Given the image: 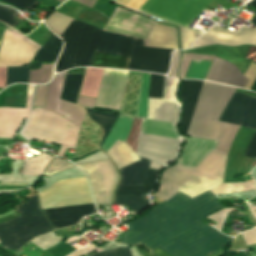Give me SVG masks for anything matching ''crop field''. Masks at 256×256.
I'll use <instances>...</instances> for the list:
<instances>
[{
  "label": "crop field",
  "instance_id": "27",
  "mask_svg": "<svg viewBox=\"0 0 256 256\" xmlns=\"http://www.w3.org/2000/svg\"><path fill=\"white\" fill-rule=\"evenodd\" d=\"M144 46L177 49L176 29L154 25Z\"/></svg>",
  "mask_w": 256,
  "mask_h": 256
},
{
  "label": "crop field",
  "instance_id": "25",
  "mask_svg": "<svg viewBox=\"0 0 256 256\" xmlns=\"http://www.w3.org/2000/svg\"><path fill=\"white\" fill-rule=\"evenodd\" d=\"M205 80L228 84L240 88H243L248 81L231 65L216 58L214 59Z\"/></svg>",
  "mask_w": 256,
  "mask_h": 256
},
{
  "label": "crop field",
  "instance_id": "14",
  "mask_svg": "<svg viewBox=\"0 0 256 256\" xmlns=\"http://www.w3.org/2000/svg\"><path fill=\"white\" fill-rule=\"evenodd\" d=\"M128 72L104 69L95 106L119 110Z\"/></svg>",
  "mask_w": 256,
  "mask_h": 256
},
{
  "label": "crop field",
  "instance_id": "39",
  "mask_svg": "<svg viewBox=\"0 0 256 256\" xmlns=\"http://www.w3.org/2000/svg\"><path fill=\"white\" fill-rule=\"evenodd\" d=\"M150 74L143 73L136 117L146 119L147 93Z\"/></svg>",
  "mask_w": 256,
  "mask_h": 256
},
{
  "label": "crop field",
  "instance_id": "50",
  "mask_svg": "<svg viewBox=\"0 0 256 256\" xmlns=\"http://www.w3.org/2000/svg\"><path fill=\"white\" fill-rule=\"evenodd\" d=\"M92 256H131V254L128 248L121 247L110 249L108 251L98 253Z\"/></svg>",
  "mask_w": 256,
  "mask_h": 256
},
{
  "label": "crop field",
  "instance_id": "19",
  "mask_svg": "<svg viewBox=\"0 0 256 256\" xmlns=\"http://www.w3.org/2000/svg\"><path fill=\"white\" fill-rule=\"evenodd\" d=\"M158 171L149 169L143 187H118L113 204H127L136 214L149 206V200H143V194H148L156 185Z\"/></svg>",
  "mask_w": 256,
  "mask_h": 256
},
{
  "label": "crop field",
  "instance_id": "15",
  "mask_svg": "<svg viewBox=\"0 0 256 256\" xmlns=\"http://www.w3.org/2000/svg\"><path fill=\"white\" fill-rule=\"evenodd\" d=\"M66 72L56 75L54 80L48 85L44 108L80 127L85 115L84 108L59 100Z\"/></svg>",
  "mask_w": 256,
  "mask_h": 256
},
{
  "label": "crop field",
  "instance_id": "33",
  "mask_svg": "<svg viewBox=\"0 0 256 256\" xmlns=\"http://www.w3.org/2000/svg\"><path fill=\"white\" fill-rule=\"evenodd\" d=\"M103 69L87 68L82 84V96L96 98Z\"/></svg>",
  "mask_w": 256,
  "mask_h": 256
},
{
  "label": "crop field",
  "instance_id": "59",
  "mask_svg": "<svg viewBox=\"0 0 256 256\" xmlns=\"http://www.w3.org/2000/svg\"><path fill=\"white\" fill-rule=\"evenodd\" d=\"M142 256H170V255L166 254L165 252H163V251H161L160 249L157 248L151 254H146V255H142Z\"/></svg>",
  "mask_w": 256,
  "mask_h": 256
},
{
  "label": "crop field",
  "instance_id": "30",
  "mask_svg": "<svg viewBox=\"0 0 256 256\" xmlns=\"http://www.w3.org/2000/svg\"><path fill=\"white\" fill-rule=\"evenodd\" d=\"M140 133L180 140L177 132V127L173 124L143 119Z\"/></svg>",
  "mask_w": 256,
  "mask_h": 256
},
{
  "label": "crop field",
  "instance_id": "34",
  "mask_svg": "<svg viewBox=\"0 0 256 256\" xmlns=\"http://www.w3.org/2000/svg\"><path fill=\"white\" fill-rule=\"evenodd\" d=\"M62 48L61 40L52 34L50 39L40 49L34 61L53 62L56 61Z\"/></svg>",
  "mask_w": 256,
  "mask_h": 256
},
{
  "label": "crop field",
  "instance_id": "57",
  "mask_svg": "<svg viewBox=\"0 0 256 256\" xmlns=\"http://www.w3.org/2000/svg\"><path fill=\"white\" fill-rule=\"evenodd\" d=\"M95 100L94 98H88V97H79L78 104L88 106V107H94Z\"/></svg>",
  "mask_w": 256,
  "mask_h": 256
},
{
  "label": "crop field",
  "instance_id": "41",
  "mask_svg": "<svg viewBox=\"0 0 256 256\" xmlns=\"http://www.w3.org/2000/svg\"><path fill=\"white\" fill-rule=\"evenodd\" d=\"M29 67H7V83H27L28 80Z\"/></svg>",
  "mask_w": 256,
  "mask_h": 256
},
{
  "label": "crop field",
  "instance_id": "45",
  "mask_svg": "<svg viewBox=\"0 0 256 256\" xmlns=\"http://www.w3.org/2000/svg\"><path fill=\"white\" fill-rule=\"evenodd\" d=\"M19 14L15 10L0 6V21L6 23L11 27H15L19 21L15 20V16Z\"/></svg>",
  "mask_w": 256,
  "mask_h": 256
},
{
  "label": "crop field",
  "instance_id": "36",
  "mask_svg": "<svg viewBox=\"0 0 256 256\" xmlns=\"http://www.w3.org/2000/svg\"><path fill=\"white\" fill-rule=\"evenodd\" d=\"M83 75H67L64 83L61 100L71 103L77 102L78 92Z\"/></svg>",
  "mask_w": 256,
  "mask_h": 256
},
{
  "label": "crop field",
  "instance_id": "28",
  "mask_svg": "<svg viewBox=\"0 0 256 256\" xmlns=\"http://www.w3.org/2000/svg\"><path fill=\"white\" fill-rule=\"evenodd\" d=\"M140 161L124 167L119 171L122 186H142L150 161L140 157Z\"/></svg>",
  "mask_w": 256,
  "mask_h": 256
},
{
  "label": "crop field",
  "instance_id": "40",
  "mask_svg": "<svg viewBox=\"0 0 256 256\" xmlns=\"http://www.w3.org/2000/svg\"><path fill=\"white\" fill-rule=\"evenodd\" d=\"M53 66L52 65H42V67L37 70H30V77L28 83L33 84H43L48 83L53 76Z\"/></svg>",
  "mask_w": 256,
  "mask_h": 256
},
{
  "label": "crop field",
  "instance_id": "24",
  "mask_svg": "<svg viewBox=\"0 0 256 256\" xmlns=\"http://www.w3.org/2000/svg\"><path fill=\"white\" fill-rule=\"evenodd\" d=\"M102 136V131L94 122L85 116L80 127L79 138L76 145L75 159L98 150L97 145Z\"/></svg>",
  "mask_w": 256,
  "mask_h": 256
},
{
  "label": "crop field",
  "instance_id": "22",
  "mask_svg": "<svg viewBox=\"0 0 256 256\" xmlns=\"http://www.w3.org/2000/svg\"><path fill=\"white\" fill-rule=\"evenodd\" d=\"M187 140L178 164L195 169L198 164L208 155L217 141L181 137Z\"/></svg>",
  "mask_w": 256,
  "mask_h": 256
},
{
  "label": "crop field",
  "instance_id": "66",
  "mask_svg": "<svg viewBox=\"0 0 256 256\" xmlns=\"http://www.w3.org/2000/svg\"><path fill=\"white\" fill-rule=\"evenodd\" d=\"M252 22L256 23V17H254V18L252 19Z\"/></svg>",
  "mask_w": 256,
  "mask_h": 256
},
{
  "label": "crop field",
  "instance_id": "18",
  "mask_svg": "<svg viewBox=\"0 0 256 256\" xmlns=\"http://www.w3.org/2000/svg\"><path fill=\"white\" fill-rule=\"evenodd\" d=\"M171 78L165 77L163 98L168 99ZM177 80L172 79L169 100L148 98L147 119L177 123L178 104L174 100Z\"/></svg>",
  "mask_w": 256,
  "mask_h": 256
},
{
  "label": "crop field",
  "instance_id": "21",
  "mask_svg": "<svg viewBox=\"0 0 256 256\" xmlns=\"http://www.w3.org/2000/svg\"><path fill=\"white\" fill-rule=\"evenodd\" d=\"M33 85H28L26 109L0 108V137L12 138L23 118L27 117L32 101Z\"/></svg>",
  "mask_w": 256,
  "mask_h": 256
},
{
  "label": "crop field",
  "instance_id": "51",
  "mask_svg": "<svg viewBox=\"0 0 256 256\" xmlns=\"http://www.w3.org/2000/svg\"><path fill=\"white\" fill-rule=\"evenodd\" d=\"M22 10H30L35 4H37L38 2H36L35 0H4Z\"/></svg>",
  "mask_w": 256,
  "mask_h": 256
},
{
  "label": "crop field",
  "instance_id": "54",
  "mask_svg": "<svg viewBox=\"0 0 256 256\" xmlns=\"http://www.w3.org/2000/svg\"><path fill=\"white\" fill-rule=\"evenodd\" d=\"M244 155L256 159V134L253 135Z\"/></svg>",
  "mask_w": 256,
  "mask_h": 256
},
{
  "label": "crop field",
  "instance_id": "49",
  "mask_svg": "<svg viewBox=\"0 0 256 256\" xmlns=\"http://www.w3.org/2000/svg\"><path fill=\"white\" fill-rule=\"evenodd\" d=\"M46 87H47V85H43V86H37L36 85L33 106L43 108L45 93H46Z\"/></svg>",
  "mask_w": 256,
  "mask_h": 256
},
{
  "label": "crop field",
  "instance_id": "12",
  "mask_svg": "<svg viewBox=\"0 0 256 256\" xmlns=\"http://www.w3.org/2000/svg\"><path fill=\"white\" fill-rule=\"evenodd\" d=\"M218 120L255 131L256 98L234 92Z\"/></svg>",
  "mask_w": 256,
  "mask_h": 256
},
{
  "label": "crop field",
  "instance_id": "37",
  "mask_svg": "<svg viewBox=\"0 0 256 256\" xmlns=\"http://www.w3.org/2000/svg\"><path fill=\"white\" fill-rule=\"evenodd\" d=\"M53 158L46 154H39L36 157L27 158L23 174L41 176L44 168Z\"/></svg>",
  "mask_w": 256,
  "mask_h": 256
},
{
  "label": "crop field",
  "instance_id": "17",
  "mask_svg": "<svg viewBox=\"0 0 256 256\" xmlns=\"http://www.w3.org/2000/svg\"><path fill=\"white\" fill-rule=\"evenodd\" d=\"M216 44L224 46L256 45V29L242 27L238 33H232L215 25L204 33L192 48Z\"/></svg>",
  "mask_w": 256,
  "mask_h": 256
},
{
  "label": "crop field",
  "instance_id": "32",
  "mask_svg": "<svg viewBox=\"0 0 256 256\" xmlns=\"http://www.w3.org/2000/svg\"><path fill=\"white\" fill-rule=\"evenodd\" d=\"M124 37L123 35L103 31L95 51L119 55Z\"/></svg>",
  "mask_w": 256,
  "mask_h": 256
},
{
  "label": "crop field",
  "instance_id": "29",
  "mask_svg": "<svg viewBox=\"0 0 256 256\" xmlns=\"http://www.w3.org/2000/svg\"><path fill=\"white\" fill-rule=\"evenodd\" d=\"M132 120L133 118L119 115L101 148L107 152L116 139L125 142L131 128Z\"/></svg>",
  "mask_w": 256,
  "mask_h": 256
},
{
  "label": "crop field",
  "instance_id": "62",
  "mask_svg": "<svg viewBox=\"0 0 256 256\" xmlns=\"http://www.w3.org/2000/svg\"><path fill=\"white\" fill-rule=\"evenodd\" d=\"M149 168H153V169H157V170H159V169H161V168H162V166L157 165V164H155V163L151 162V164H150Z\"/></svg>",
  "mask_w": 256,
  "mask_h": 256
},
{
  "label": "crop field",
  "instance_id": "8",
  "mask_svg": "<svg viewBox=\"0 0 256 256\" xmlns=\"http://www.w3.org/2000/svg\"><path fill=\"white\" fill-rule=\"evenodd\" d=\"M213 0H147L139 11L177 26L189 27Z\"/></svg>",
  "mask_w": 256,
  "mask_h": 256
},
{
  "label": "crop field",
  "instance_id": "53",
  "mask_svg": "<svg viewBox=\"0 0 256 256\" xmlns=\"http://www.w3.org/2000/svg\"><path fill=\"white\" fill-rule=\"evenodd\" d=\"M180 58V52L179 51H174L173 56H172V62H171V68L169 72V76L178 78L176 75L177 67H178V62Z\"/></svg>",
  "mask_w": 256,
  "mask_h": 256
},
{
  "label": "crop field",
  "instance_id": "46",
  "mask_svg": "<svg viewBox=\"0 0 256 256\" xmlns=\"http://www.w3.org/2000/svg\"><path fill=\"white\" fill-rule=\"evenodd\" d=\"M72 167L70 164H68L67 162L59 159V158H55L52 160L51 164L47 167L44 175L46 176H50L53 175L57 172H60L62 170H65L67 168Z\"/></svg>",
  "mask_w": 256,
  "mask_h": 256
},
{
  "label": "crop field",
  "instance_id": "47",
  "mask_svg": "<svg viewBox=\"0 0 256 256\" xmlns=\"http://www.w3.org/2000/svg\"><path fill=\"white\" fill-rule=\"evenodd\" d=\"M182 49H188V47L194 42V40L201 35V33L191 30H180Z\"/></svg>",
  "mask_w": 256,
  "mask_h": 256
},
{
  "label": "crop field",
  "instance_id": "7",
  "mask_svg": "<svg viewBox=\"0 0 256 256\" xmlns=\"http://www.w3.org/2000/svg\"><path fill=\"white\" fill-rule=\"evenodd\" d=\"M180 147V141L139 135L137 154L124 142L116 140L107 152L118 168L139 160L138 156L152 160L162 166L170 163L175 158Z\"/></svg>",
  "mask_w": 256,
  "mask_h": 256
},
{
  "label": "crop field",
  "instance_id": "68",
  "mask_svg": "<svg viewBox=\"0 0 256 256\" xmlns=\"http://www.w3.org/2000/svg\"><path fill=\"white\" fill-rule=\"evenodd\" d=\"M114 1H116V0H114Z\"/></svg>",
  "mask_w": 256,
  "mask_h": 256
},
{
  "label": "crop field",
  "instance_id": "13",
  "mask_svg": "<svg viewBox=\"0 0 256 256\" xmlns=\"http://www.w3.org/2000/svg\"><path fill=\"white\" fill-rule=\"evenodd\" d=\"M154 23L155 20L117 6L105 30L146 39Z\"/></svg>",
  "mask_w": 256,
  "mask_h": 256
},
{
  "label": "crop field",
  "instance_id": "52",
  "mask_svg": "<svg viewBox=\"0 0 256 256\" xmlns=\"http://www.w3.org/2000/svg\"><path fill=\"white\" fill-rule=\"evenodd\" d=\"M232 209H233V208L223 209V210H221V211H219V212H217V213H215V214L209 216L208 218H210V219H212V220L218 222V223H217V226H216L215 228H217L218 230H221V228H222V223H223L225 217L227 216V214H228L230 211H232ZM223 224H224V223H223Z\"/></svg>",
  "mask_w": 256,
  "mask_h": 256
},
{
  "label": "crop field",
  "instance_id": "44",
  "mask_svg": "<svg viewBox=\"0 0 256 256\" xmlns=\"http://www.w3.org/2000/svg\"><path fill=\"white\" fill-rule=\"evenodd\" d=\"M30 242H32L44 251L54 247L56 244L59 243L53 232L34 238Z\"/></svg>",
  "mask_w": 256,
  "mask_h": 256
},
{
  "label": "crop field",
  "instance_id": "5",
  "mask_svg": "<svg viewBox=\"0 0 256 256\" xmlns=\"http://www.w3.org/2000/svg\"><path fill=\"white\" fill-rule=\"evenodd\" d=\"M100 33L101 30L73 19L60 36L65 46L57 61L56 72L77 66H91Z\"/></svg>",
  "mask_w": 256,
  "mask_h": 256
},
{
  "label": "crop field",
  "instance_id": "26",
  "mask_svg": "<svg viewBox=\"0 0 256 256\" xmlns=\"http://www.w3.org/2000/svg\"><path fill=\"white\" fill-rule=\"evenodd\" d=\"M141 75L140 72H129L119 114L135 117Z\"/></svg>",
  "mask_w": 256,
  "mask_h": 256
},
{
  "label": "crop field",
  "instance_id": "60",
  "mask_svg": "<svg viewBox=\"0 0 256 256\" xmlns=\"http://www.w3.org/2000/svg\"><path fill=\"white\" fill-rule=\"evenodd\" d=\"M86 6L93 8L97 0H74Z\"/></svg>",
  "mask_w": 256,
  "mask_h": 256
},
{
  "label": "crop field",
  "instance_id": "23",
  "mask_svg": "<svg viewBox=\"0 0 256 256\" xmlns=\"http://www.w3.org/2000/svg\"><path fill=\"white\" fill-rule=\"evenodd\" d=\"M202 82L203 81L182 80L179 98L184 103V109L180 118V129L185 135L188 131Z\"/></svg>",
  "mask_w": 256,
  "mask_h": 256
},
{
  "label": "crop field",
  "instance_id": "65",
  "mask_svg": "<svg viewBox=\"0 0 256 256\" xmlns=\"http://www.w3.org/2000/svg\"><path fill=\"white\" fill-rule=\"evenodd\" d=\"M12 212H15V211H12ZM12 212H9V213H6V214H3V215H0V217L5 216V215H7V214H10V213H12Z\"/></svg>",
  "mask_w": 256,
  "mask_h": 256
},
{
  "label": "crop field",
  "instance_id": "3",
  "mask_svg": "<svg viewBox=\"0 0 256 256\" xmlns=\"http://www.w3.org/2000/svg\"><path fill=\"white\" fill-rule=\"evenodd\" d=\"M234 91L235 88L204 81L187 135L219 140L215 150L227 154L239 126L216 120Z\"/></svg>",
  "mask_w": 256,
  "mask_h": 256
},
{
  "label": "crop field",
  "instance_id": "9",
  "mask_svg": "<svg viewBox=\"0 0 256 256\" xmlns=\"http://www.w3.org/2000/svg\"><path fill=\"white\" fill-rule=\"evenodd\" d=\"M77 166L88 174L96 204L110 205L113 200V190L119 179L114 164L106 159L77 164Z\"/></svg>",
  "mask_w": 256,
  "mask_h": 256
},
{
  "label": "crop field",
  "instance_id": "10",
  "mask_svg": "<svg viewBox=\"0 0 256 256\" xmlns=\"http://www.w3.org/2000/svg\"><path fill=\"white\" fill-rule=\"evenodd\" d=\"M41 47L6 27L0 46V66H19L29 64Z\"/></svg>",
  "mask_w": 256,
  "mask_h": 256
},
{
  "label": "crop field",
  "instance_id": "63",
  "mask_svg": "<svg viewBox=\"0 0 256 256\" xmlns=\"http://www.w3.org/2000/svg\"><path fill=\"white\" fill-rule=\"evenodd\" d=\"M252 204H253V205H256V203H252ZM252 204L249 203V206H250L251 210L253 211V213H254V215H255V217H256V213H255V211H254V210H256V206H252Z\"/></svg>",
  "mask_w": 256,
  "mask_h": 256
},
{
  "label": "crop field",
  "instance_id": "67",
  "mask_svg": "<svg viewBox=\"0 0 256 256\" xmlns=\"http://www.w3.org/2000/svg\"><path fill=\"white\" fill-rule=\"evenodd\" d=\"M58 1L62 3V2L65 1V0H58Z\"/></svg>",
  "mask_w": 256,
  "mask_h": 256
},
{
  "label": "crop field",
  "instance_id": "42",
  "mask_svg": "<svg viewBox=\"0 0 256 256\" xmlns=\"http://www.w3.org/2000/svg\"><path fill=\"white\" fill-rule=\"evenodd\" d=\"M71 20L72 18H69L67 16H64L55 12L50 17H48L45 20V22L48 24V26L51 28L53 32H55L60 36L61 33L64 31V29L71 22Z\"/></svg>",
  "mask_w": 256,
  "mask_h": 256
},
{
  "label": "crop field",
  "instance_id": "6",
  "mask_svg": "<svg viewBox=\"0 0 256 256\" xmlns=\"http://www.w3.org/2000/svg\"><path fill=\"white\" fill-rule=\"evenodd\" d=\"M78 131L79 128L64 118L34 107L22 134L28 140L38 139L62 144L57 154L62 157L66 148L75 149Z\"/></svg>",
  "mask_w": 256,
  "mask_h": 256
},
{
  "label": "crop field",
  "instance_id": "1",
  "mask_svg": "<svg viewBox=\"0 0 256 256\" xmlns=\"http://www.w3.org/2000/svg\"><path fill=\"white\" fill-rule=\"evenodd\" d=\"M221 208L210 191L193 200L178 192L126 223L130 229L122 234V244L145 243L152 250L158 247L172 256H208L233 239L200 222Z\"/></svg>",
  "mask_w": 256,
  "mask_h": 256
},
{
  "label": "crop field",
  "instance_id": "55",
  "mask_svg": "<svg viewBox=\"0 0 256 256\" xmlns=\"http://www.w3.org/2000/svg\"><path fill=\"white\" fill-rule=\"evenodd\" d=\"M246 245L256 243V229L242 233Z\"/></svg>",
  "mask_w": 256,
  "mask_h": 256
},
{
  "label": "crop field",
  "instance_id": "56",
  "mask_svg": "<svg viewBox=\"0 0 256 256\" xmlns=\"http://www.w3.org/2000/svg\"><path fill=\"white\" fill-rule=\"evenodd\" d=\"M145 0H118V2L137 10Z\"/></svg>",
  "mask_w": 256,
  "mask_h": 256
},
{
  "label": "crop field",
  "instance_id": "2",
  "mask_svg": "<svg viewBox=\"0 0 256 256\" xmlns=\"http://www.w3.org/2000/svg\"><path fill=\"white\" fill-rule=\"evenodd\" d=\"M226 157L211 151L195 170L178 164L170 167L163 173L156 196L167 200L180 191L193 199L209 190L213 195L256 190L255 181L222 184Z\"/></svg>",
  "mask_w": 256,
  "mask_h": 256
},
{
  "label": "crop field",
  "instance_id": "43",
  "mask_svg": "<svg viewBox=\"0 0 256 256\" xmlns=\"http://www.w3.org/2000/svg\"><path fill=\"white\" fill-rule=\"evenodd\" d=\"M164 76L151 74L148 97L162 98Z\"/></svg>",
  "mask_w": 256,
  "mask_h": 256
},
{
  "label": "crop field",
  "instance_id": "58",
  "mask_svg": "<svg viewBox=\"0 0 256 256\" xmlns=\"http://www.w3.org/2000/svg\"><path fill=\"white\" fill-rule=\"evenodd\" d=\"M6 83V67L0 68V88H5Z\"/></svg>",
  "mask_w": 256,
  "mask_h": 256
},
{
  "label": "crop field",
  "instance_id": "16",
  "mask_svg": "<svg viewBox=\"0 0 256 256\" xmlns=\"http://www.w3.org/2000/svg\"><path fill=\"white\" fill-rule=\"evenodd\" d=\"M171 51L134 45L129 69L166 74Z\"/></svg>",
  "mask_w": 256,
  "mask_h": 256
},
{
  "label": "crop field",
  "instance_id": "31",
  "mask_svg": "<svg viewBox=\"0 0 256 256\" xmlns=\"http://www.w3.org/2000/svg\"><path fill=\"white\" fill-rule=\"evenodd\" d=\"M189 59L180 60L179 77L184 78L190 64ZM212 61L192 60L185 78L204 79Z\"/></svg>",
  "mask_w": 256,
  "mask_h": 256
},
{
  "label": "crop field",
  "instance_id": "20",
  "mask_svg": "<svg viewBox=\"0 0 256 256\" xmlns=\"http://www.w3.org/2000/svg\"><path fill=\"white\" fill-rule=\"evenodd\" d=\"M54 229L76 224L83 216L93 214V204L43 210Z\"/></svg>",
  "mask_w": 256,
  "mask_h": 256
},
{
  "label": "crop field",
  "instance_id": "35",
  "mask_svg": "<svg viewBox=\"0 0 256 256\" xmlns=\"http://www.w3.org/2000/svg\"><path fill=\"white\" fill-rule=\"evenodd\" d=\"M129 60L128 57L96 52L93 66L128 69Z\"/></svg>",
  "mask_w": 256,
  "mask_h": 256
},
{
  "label": "crop field",
  "instance_id": "48",
  "mask_svg": "<svg viewBox=\"0 0 256 256\" xmlns=\"http://www.w3.org/2000/svg\"><path fill=\"white\" fill-rule=\"evenodd\" d=\"M144 42L143 39H137L132 37H125L122 50H121V56H129L131 55L133 44L142 45Z\"/></svg>",
  "mask_w": 256,
  "mask_h": 256
},
{
  "label": "crop field",
  "instance_id": "4",
  "mask_svg": "<svg viewBox=\"0 0 256 256\" xmlns=\"http://www.w3.org/2000/svg\"><path fill=\"white\" fill-rule=\"evenodd\" d=\"M15 211L22 216L0 224V243L3 248L17 250L33 237L53 230L39 209L37 196Z\"/></svg>",
  "mask_w": 256,
  "mask_h": 256
},
{
  "label": "crop field",
  "instance_id": "61",
  "mask_svg": "<svg viewBox=\"0 0 256 256\" xmlns=\"http://www.w3.org/2000/svg\"><path fill=\"white\" fill-rule=\"evenodd\" d=\"M85 250L84 249H80V250H77L75 253L71 254L70 256H81L83 254H85Z\"/></svg>",
  "mask_w": 256,
  "mask_h": 256
},
{
  "label": "crop field",
  "instance_id": "11",
  "mask_svg": "<svg viewBox=\"0 0 256 256\" xmlns=\"http://www.w3.org/2000/svg\"><path fill=\"white\" fill-rule=\"evenodd\" d=\"M39 200L41 209L92 203L86 183L52 187Z\"/></svg>",
  "mask_w": 256,
  "mask_h": 256
},
{
  "label": "crop field",
  "instance_id": "38",
  "mask_svg": "<svg viewBox=\"0 0 256 256\" xmlns=\"http://www.w3.org/2000/svg\"><path fill=\"white\" fill-rule=\"evenodd\" d=\"M85 110H86L89 118L92 119L95 123H97L103 130V138L100 143V145H101L103 140L107 136L108 132L110 131L113 123L115 122L117 116L108 114V113L96 112V111H93L91 109H86V108H85ZM100 145H99V147H100Z\"/></svg>",
  "mask_w": 256,
  "mask_h": 256
},
{
  "label": "crop field",
  "instance_id": "64",
  "mask_svg": "<svg viewBox=\"0 0 256 256\" xmlns=\"http://www.w3.org/2000/svg\"><path fill=\"white\" fill-rule=\"evenodd\" d=\"M248 4H250V5H252L253 7H255V8H256V0L251 1V2H250V3H248Z\"/></svg>",
  "mask_w": 256,
  "mask_h": 256
}]
</instances>
